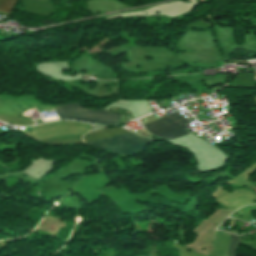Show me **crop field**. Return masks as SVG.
<instances>
[{
	"label": "crop field",
	"instance_id": "1",
	"mask_svg": "<svg viewBox=\"0 0 256 256\" xmlns=\"http://www.w3.org/2000/svg\"><path fill=\"white\" fill-rule=\"evenodd\" d=\"M129 132L127 130L117 128L111 130H101L92 133H88L84 136L83 140L85 142L113 136L121 133ZM152 141L148 138L140 137L135 135L132 132L104 138L92 142H88L87 144L91 146H97L101 149H106L123 156L136 153L141 151L144 147H146Z\"/></svg>",
	"mask_w": 256,
	"mask_h": 256
},
{
	"label": "crop field",
	"instance_id": "2",
	"mask_svg": "<svg viewBox=\"0 0 256 256\" xmlns=\"http://www.w3.org/2000/svg\"><path fill=\"white\" fill-rule=\"evenodd\" d=\"M56 109L61 118H75L103 124H117L121 118L108 111L83 109L78 103L59 105Z\"/></svg>",
	"mask_w": 256,
	"mask_h": 256
},
{
	"label": "crop field",
	"instance_id": "3",
	"mask_svg": "<svg viewBox=\"0 0 256 256\" xmlns=\"http://www.w3.org/2000/svg\"><path fill=\"white\" fill-rule=\"evenodd\" d=\"M188 122L183 116L176 113L145 124L147 130L167 141L186 135L189 132L183 130Z\"/></svg>",
	"mask_w": 256,
	"mask_h": 256
},
{
	"label": "crop field",
	"instance_id": "4",
	"mask_svg": "<svg viewBox=\"0 0 256 256\" xmlns=\"http://www.w3.org/2000/svg\"><path fill=\"white\" fill-rule=\"evenodd\" d=\"M82 136L81 135H66V136H60V137H54L50 139L41 140L40 142L46 143V144H63V143H72V142H82Z\"/></svg>",
	"mask_w": 256,
	"mask_h": 256
},
{
	"label": "crop field",
	"instance_id": "5",
	"mask_svg": "<svg viewBox=\"0 0 256 256\" xmlns=\"http://www.w3.org/2000/svg\"><path fill=\"white\" fill-rule=\"evenodd\" d=\"M15 2L16 0H0V10L10 13L14 7Z\"/></svg>",
	"mask_w": 256,
	"mask_h": 256
},
{
	"label": "crop field",
	"instance_id": "6",
	"mask_svg": "<svg viewBox=\"0 0 256 256\" xmlns=\"http://www.w3.org/2000/svg\"><path fill=\"white\" fill-rule=\"evenodd\" d=\"M240 244L239 236L232 235L231 238V246H230V254L229 256H236L235 251L238 249V245Z\"/></svg>",
	"mask_w": 256,
	"mask_h": 256
}]
</instances>
